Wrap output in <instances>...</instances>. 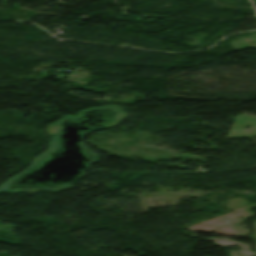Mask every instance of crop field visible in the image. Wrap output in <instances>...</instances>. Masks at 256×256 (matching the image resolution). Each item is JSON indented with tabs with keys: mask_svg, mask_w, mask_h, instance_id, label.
Instances as JSON below:
<instances>
[{
	"mask_svg": "<svg viewBox=\"0 0 256 256\" xmlns=\"http://www.w3.org/2000/svg\"><path fill=\"white\" fill-rule=\"evenodd\" d=\"M200 239H204V238H200ZM207 240L213 241L216 243V245L223 246V247H226L232 244H237L244 249L241 251H229V253L231 254L230 256H253L254 254V252L251 251L250 246L237 243L228 238H208Z\"/></svg>",
	"mask_w": 256,
	"mask_h": 256,
	"instance_id": "8a807250",
	"label": "crop field"
},
{
	"mask_svg": "<svg viewBox=\"0 0 256 256\" xmlns=\"http://www.w3.org/2000/svg\"><path fill=\"white\" fill-rule=\"evenodd\" d=\"M255 255H256V253H255Z\"/></svg>",
	"mask_w": 256,
	"mask_h": 256,
	"instance_id": "ac0d7876",
	"label": "crop field"
}]
</instances>
